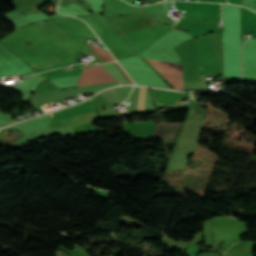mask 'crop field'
Instances as JSON below:
<instances>
[{
	"label": "crop field",
	"mask_w": 256,
	"mask_h": 256,
	"mask_svg": "<svg viewBox=\"0 0 256 256\" xmlns=\"http://www.w3.org/2000/svg\"><path fill=\"white\" fill-rule=\"evenodd\" d=\"M176 9L184 11L186 17L179 20L175 27L188 31L195 37L202 36L208 32L215 31L221 37L216 22V17L220 16L219 4H200V3H174Z\"/></svg>",
	"instance_id": "8a807250"
},
{
	"label": "crop field",
	"mask_w": 256,
	"mask_h": 256,
	"mask_svg": "<svg viewBox=\"0 0 256 256\" xmlns=\"http://www.w3.org/2000/svg\"><path fill=\"white\" fill-rule=\"evenodd\" d=\"M114 81L116 80L103 68H101L99 65H95L92 67H86L85 71L80 77L78 86Z\"/></svg>",
	"instance_id": "ac0d7876"
},
{
	"label": "crop field",
	"mask_w": 256,
	"mask_h": 256,
	"mask_svg": "<svg viewBox=\"0 0 256 256\" xmlns=\"http://www.w3.org/2000/svg\"><path fill=\"white\" fill-rule=\"evenodd\" d=\"M101 66L105 68L111 75H113L120 82V84H133L129 76L116 62L103 64Z\"/></svg>",
	"instance_id": "34b2d1b8"
},
{
	"label": "crop field",
	"mask_w": 256,
	"mask_h": 256,
	"mask_svg": "<svg viewBox=\"0 0 256 256\" xmlns=\"http://www.w3.org/2000/svg\"><path fill=\"white\" fill-rule=\"evenodd\" d=\"M31 71H32L31 69H29L27 66H25L23 63L19 61L14 65L10 66L9 68H7L6 70L2 71L0 73V79L3 76L12 75L16 73L22 74V73H27Z\"/></svg>",
	"instance_id": "412701ff"
},
{
	"label": "crop field",
	"mask_w": 256,
	"mask_h": 256,
	"mask_svg": "<svg viewBox=\"0 0 256 256\" xmlns=\"http://www.w3.org/2000/svg\"><path fill=\"white\" fill-rule=\"evenodd\" d=\"M147 61L151 63L156 69L174 70V71L182 72L181 61L175 64L153 61V60H147Z\"/></svg>",
	"instance_id": "f4fd0767"
},
{
	"label": "crop field",
	"mask_w": 256,
	"mask_h": 256,
	"mask_svg": "<svg viewBox=\"0 0 256 256\" xmlns=\"http://www.w3.org/2000/svg\"><path fill=\"white\" fill-rule=\"evenodd\" d=\"M146 88L141 87L139 113L144 112Z\"/></svg>",
	"instance_id": "dd49c442"
},
{
	"label": "crop field",
	"mask_w": 256,
	"mask_h": 256,
	"mask_svg": "<svg viewBox=\"0 0 256 256\" xmlns=\"http://www.w3.org/2000/svg\"><path fill=\"white\" fill-rule=\"evenodd\" d=\"M242 5L256 11V0H242Z\"/></svg>",
	"instance_id": "e52e79f7"
},
{
	"label": "crop field",
	"mask_w": 256,
	"mask_h": 256,
	"mask_svg": "<svg viewBox=\"0 0 256 256\" xmlns=\"http://www.w3.org/2000/svg\"><path fill=\"white\" fill-rule=\"evenodd\" d=\"M96 49H98L100 52H102L105 56H107L109 59H111L112 61H114L112 58H111V56L106 52V51H104L103 49H100V48H98V47H96V46H94Z\"/></svg>",
	"instance_id": "d8731c3e"
},
{
	"label": "crop field",
	"mask_w": 256,
	"mask_h": 256,
	"mask_svg": "<svg viewBox=\"0 0 256 256\" xmlns=\"http://www.w3.org/2000/svg\"><path fill=\"white\" fill-rule=\"evenodd\" d=\"M130 3H132V0H129Z\"/></svg>",
	"instance_id": "5a996713"
}]
</instances>
